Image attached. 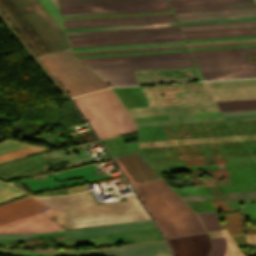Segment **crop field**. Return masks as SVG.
<instances>
[{
    "mask_svg": "<svg viewBox=\"0 0 256 256\" xmlns=\"http://www.w3.org/2000/svg\"><path fill=\"white\" fill-rule=\"evenodd\" d=\"M0 11L37 57L70 48L57 0H0Z\"/></svg>",
    "mask_w": 256,
    "mask_h": 256,
    "instance_id": "1",
    "label": "crop field"
},
{
    "mask_svg": "<svg viewBox=\"0 0 256 256\" xmlns=\"http://www.w3.org/2000/svg\"><path fill=\"white\" fill-rule=\"evenodd\" d=\"M67 219L70 228L150 219L136 196L128 201L97 205L90 192L71 196L38 198Z\"/></svg>",
    "mask_w": 256,
    "mask_h": 256,
    "instance_id": "2",
    "label": "crop field"
},
{
    "mask_svg": "<svg viewBox=\"0 0 256 256\" xmlns=\"http://www.w3.org/2000/svg\"><path fill=\"white\" fill-rule=\"evenodd\" d=\"M134 188L166 239L205 233L197 215L162 179Z\"/></svg>",
    "mask_w": 256,
    "mask_h": 256,
    "instance_id": "3",
    "label": "crop field"
},
{
    "mask_svg": "<svg viewBox=\"0 0 256 256\" xmlns=\"http://www.w3.org/2000/svg\"><path fill=\"white\" fill-rule=\"evenodd\" d=\"M73 99L101 139L136 131L134 121L112 89Z\"/></svg>",
    "mask_w": 256,
    "mask_h": 256,
    "instance_id": "4",
    "label": "crop field"
},
{
    "mask_svg": "<svg viewBox=\"0 0 256 256\" xmlns=\"http://www.w3.org/2000/svg\"><path fill=\"white\" fill-rule=\"evenodd\" d=\"M50 209L29 196L0 206V225ZM57 214L52 209L0 226V233H43L63 230L46 217Z\"/></svg>",
    "mask_w": 256,
    "mask_h": 256,
    "instance_id": "5",
    "label": "crop field"
},
{
    "mask_svg": "<svg viewBox=\"0 0 256 256\" xmlns=\"http://www.w3.org/2000/svg\"><path fill=\"white\" fill-rule=\"evenodd\" d=\"M40 59L70 96L109 87L76 60L70 49L40 57Z\"/></svg>",
    "mask_w": 256,
    "mask_h": 256,
    "instance_id": "6",
    "label": "crop field"
},
{
    "mask_svg": "<svg viewBox=\"0 0 256 256\" xmlns=\"http://www.w3.org/2000/svg\"><path fill=\"white\" fill-rule=\"evenodd\" d=\"M110 86L137 85L133 71L197 67L193 58L86 65Z\"/></svg>",
    "mask_w": 256,
    "mask_h": 256,
    "instance_id": "7",
    "label": "crop field"
},
{
    "mask_svg": "<svg viewBox=\"0 0 256 256\" xmlns=\"http://www.w3.org/2000/svg\"><path fill=\"white\" fill-rule=\"evenodd\" d=\"M249 54L195 58L205 80L256 77V62Z\"/></svg>",
    "mask_w": 256,
    "mask_h": 256,
    "instance_id": "8",
    "label": "crop field"
},
{
    "mask_svg": "<svg viewBox=\"0 0 256 256\" xmlns=\"http://www.w3.org/2000/svg\"><path fill=\"white\" fill-rule=\"evenodd\" d=\"M98 172L99 171L96 165H88V166L65 171L62 175L51 176L44 180L24 179L22 181L25 184H27L30 187L33 194H35L39 192H44V191H49V190L112 178L107 174L98 175V176H95L93 174ZM76 177H83V179L55 182V180H59V179L76 178Z\"/></svg>",
    "mask_w": 256,
    "mask_h": 256,
    "instance_id": "9",
    "label": "crop field"
},
{
    "mask_svg": "<svg viewBox=\"0 0 256 256\" xmlns=\"http://www.w3.org/2000/svg\"><path fill=\"white\" fill-rule=\"evenodd\" d=\"M170 21H176L173 14L70 20V21H63V22L66 29H72V28L142 24V23H156V22H170Z\"/></svg>",
    "mask_w": 256,
    "mask_h": 256,
    "instance_id": "10",
    "label": "crop field"
},
{
    "mask_svg": "<svg viewBox=\"0 0 256 256\" xmlns=\"http://www.w3.org/2000/svg\"><path fill=\"white\" fill-rule=\"evenodd\" d=\"M152 221L97 226L66 232V237L105 234L145 228H153ZM0 238H33V234H0Z\"/></svg>",
    "mask_w": 256,
    "mask_h": 256,
    "instance_id": "11",
    "label": "crop field"
},
{
    "mask_svg": "<svg viewBox=\"0 0 256 256\" xmlns=\"http://www.w3.org/2000/svg\"><path fill=\"white\" fill-rule=\"evenodd\" d=\"M176 256H207L211 247L207 234L168 240Z\"/></svg>",
    "mask_w": 256,
    "mask_h": 256,
    "instance_id": "12",
    "label": "crop field"
},
{
    "mask_svg": "<svg viewBox=\"0 0 256 256\" xmlns=\"http://www.w3.org/2000/svg\"><path fill=\"white\" fill-rule=\"evenodd\" d=\"M178 21L256 17V8L174 13Z\"/></svg>",
    "mask_w": 256,
    "mask_h": 256,
    "instance_id": "13",
    "label": "crop field"
},
{
    "mask_svg": "<svg viewBox=\"0 0 256 256\" xmlns=\"http://www.w3.org/2000/svg\"><path fill=\"white\" fill-rule=\"evenodd\" d=\"M45 151L48 149L41 146L18 143L10 139L4 140L0 142V164Z\"/></svg>",
    "mask_w": 256,
    "mask_h": 256,
    "instance_id": "14",
    "label": "crop field"
},
{
    "mask_svg": "<svg viewBox=\"0 0 256 256\" xmlns=\"http://www.w3.org/2000/svg\"><path fill=\"white\" fill-rule=\"evenodd\" d=\"M166 243L101 251L102 256H172Z\"/></svg>",
    "mask_w": 256,
    "mask_h": 256,
    "instance_id": "15",
    "label": "crop field"
},
{
    "mask_svg": "<svg viewBox=\"0 0 256 256\" xmlns=\"http://www.w3.org/2000/svg\"><path fill=\"white\" fill-rule=\"evenodd\" d=\"M185 57H192L191 53L190 52H182V53H166V54L86 58V59H79V60L82 61L84 64H92V63H108V62L154 60V59H169V58H185Z\"/></svg>",
    "mask_w": 256,
    "mask_h": 256,
    "instance_id": "16",
    "label": "crop field"
},
{
    "mask_svg": "<svg viewBox=\"0 0 256 256\" xmlns=\"http://www.w3.org/2000/svg\"><path fill=\"white\" fill-rule=\"evenodd\" d=\"M169 6L167 1L60 8L61 13Z\"/></svg>",
    "mask_w": 256,
    "mask_h": 256,
    "instance_id": "17",
    "label": "crop field"
},
{
    "mask_svg": "<svg viewBox=\"0 0 256 256\" xmlns=\"http://www.w3.org/2000/svg\"><path fill=\"white\" fill-rule=\"evenodd\" d=\"M144 1H160V0H59V5L60 7H67V6H83V5L129 3V2H144Z\"/></svg>",
    "mask_w": 256,
    "mask_h": 256,
    "instance_id": "18",
    "label": "crop field"
},
{
    "mask_svg": "<svg viewBox=\"0 0 256 256\" xmlns=\"http://www.w3.org/2000/svg\"><path fill=\"white\" fill-rule=\"evenodd\" d=\"M229 110L238 109H254L256 108V99H245V100H229L223 101ZM222 101L216 102L220 111L228 110Z\"/></svg>",
    "mask_w": 256,
    "mask_h": 256,
    "instance_id": "19",
    "label": "crop field"
},
{
    "mask_svg": "<svg viewBox=\"0 0 256 256\" xmlns=\"http://www.w3.org/2000/svg\"><path fill=\"white\" fill-rule=\"evenodd\" d=\"M185 40L184 37L71 44L72 47Z\"/></svg>",
    "mask_w": 256,
    "mask_h": 256,
    "instance_id": "20",
    "label": "crop field"
},
{
    "mask_svg": "<svg viewBox=\"0 0 256 256\" xmlns=\"http://www.w3.org/2000/svg\"><path fill=\"white\" fill-rule=\"evenodd\" d=\"M173 31H181V30H180V28H172V29H156V30H140V31H124V32L76 34V35H68V37H69V38H77V37H93V36H109V35H125V34L173 32Z\"/></svg>",
    "mask_w": 256,
    "mask_h": 256,
    "instance_id": "21",
    "label": "crop field"
},
{
    "mask_svg": "<svg viewBox=\"0 0 256 256\" xmlns=\"http://www.w3.org/2000/svg\"><path fill=\"white\" fill-rule=\"evenodd\" d=\"M171 10L170 7L162 8H146V9H131V10H115V11H99V12H84V13H68L61 14V17L69 16H85V15H101V14H117V13H132V12H148V11H164Z\"/></svg>",
    "mask_w": 256,
    "mask_h": 256,
    "instance_id": "22",
    "label": "crop field"
},
{
    "mask_svg": "<svg viewBox=\"0 0 256 256\" xmlns=\"http://www.w3.org/2000/svg\"><path fill=\"white\" fill-rule=\"evenodd\" d=\"M192 53H193L194 57L214 56V55H228V54H242V53H256V48L199 51V52H192Z\"/></svg>",
    "mask_w": 256,
    "mask_h": 256,
    "instance_id": "23",
    "label": "crop field"
},
{
    "mask_svg": "<svg viewBox=\"0 0 256 256\" xmlns=\"http://www.w3.org/2000/svg\"><path fill=\"white\" fill-rule=\"evenodd\" d=\"M26 195L25 193L0 182V203Z\"/></svg>",
    "mask_w": 256,
    "mask_h": 256,
    "instance_id": "24",
    "label": "crop field"
},
{
    "mask_svg": "<svg viewBox=\"0 0 256 256\" xmlns=\"http://www.w3.org/2000/svg\"><path fill=\"white\" fill-rule=\"evenodd\" d=\"M256 4L255 1H248V2H234V3H220V4H206V5H192V6H178L172 7L173 10H180V9H194V8H208V7H222V6H236V5H250Z\"/></svg>",
    "mask_w": 256,
    "mask_h": 256,
    "instance_id": "25",
    "label": "crop field"
},
{
    "mask_svg": "<svg viewBox=\"0 0 256 256\" xmlns=\"http://www.w3.org/2000/svg\"><path fill=\"white\" fill-rule=\"evenodd\" d=\"M206 230L222 229L214 213L198 214Z\"/></svg>",
    "mask_w": 256,
    "mask_h": 256,
    "instance_id": "26",
    "label": "crop field"
},
{
    "mask_svg": "<svg viewBox=\"0 0 256 256\" xmlns=\"http://www.w3.org/2000/svg\"><path fill=\"white\" fill-rule=\"evenodd\" d=\"M213 247L209 253V256H223L226 241L225 237L210 238Z\"/></svg>",
    "mask_w": 256,
    "mask_h": 256,
    "instance_id": "27",
    "label": "crop field"
},
{
    "mask_svg": "<svg viewBox=\"0 0 256 256\" xmlns=\"http://www.w3.org/2000/svg\"><path fill=\"white\" fill-rule=\"evenodd\" d=\"M233 1H247V0H175V1H169V2L171 6H177V5H191V4L233 2Z\"/></svg>",
    "mask_w": 256,
    "mask_h": 256,
    "instance_id": "28",
    "label": "crop field"
},
{
    "mask_svg": "<svg viewBox=\"0 0 256 256\" xmlns=\"http://www.w3.org/2000/svg\"><path fill=\"white\" fill-rule=\"evenodd\" d=\"M256 196V192L226 194V198ZM184 201L209 199L207 195L181 197Z\"/></svg>",
    "mask_w": 256,
    "mask_h": 256,
    "instance_id": "29",
    "label": "crop field"
},
{
    "mask_svg": "<svg viewBox=\"0 0 256 256\" xmlns=\"http://www.w3.org/2000/svg\"><path fill=\"white\" fill-rule=\"evenodd\" d=\"M171 24H177V22L160 23V24H147V25L103 27V28L73 29V30H66V31H67V32H73V31H87V30H101V29H115V28H129V27H143V26H157V25H171Z\"/></svg>",
    "mask_w": 256,
    "mask_h": 256,
    "instance_id": "30",
    "label": "crop field"
},
{
    "mask_svg": "<svg viewBox=\"0 0 256 256\" xmlns=\"http://www.w3.org/2000/svg\"><path fill=\"white\" fill-rule=\"evenodd\" d=\"M244 26H256V23L232 24V25H217V26H203V27H188V28H182V30L209 29V28H226V27H244Z\"/></svg>",
    "mask_w": 256,
    "mask_h": 256,
    "instance_id": "31",
    "label": "crop field"
},
{
    "mask_svg": "<svg viewBox=\"0 0 256 256\" xmlns=\"http://www.w3.org/2000/svg\"><path fill=\"white\" fill-rule=\"evenodd\" d=\"M180 48H188L187 46L180 47H166V48H152V49H138V50H123V51H109V52H95V53H81L74 55H83V54H99V53H115V52H132V51H148V50H164V49H180Z\"/></svg>",
    "mask_w": 256,
    "mask_h": 256,
    "instance_id": "32",
    "label": "crop field"
},
{
    "mask_svg": "<svg viewBox=\"0 0 256 256\" xmlns=\"http://www.w3.org/2000/svg\"><path fill=\"white\" fill-rule=\"evenodd\" d=\"M186 41H177V42H161V43H145V44H129V45H112V46H96V47H80V48H72L73 50L80 49H94V48H108V47H122V46H137V45H151V44H165V43H179Z\"/></svg>",
    "mask_w": 256,
    "mask_h": 256,
    "instance_id": "33",
    "label": "crop field"
},
{
    "mask_svg": "<svg viewBox=\"0 0 256 256\" xmlns=\"http://www.w3.org/2000/svg\"><path fill=\"white\" fill-rule=\"evenodd\" d=\"M175 36H183V35L182 34H175V35H161V36H147V37H133V38H119V39H105V40H91V41H77V42H70V43L111 41V40H127V39H143V38H159V37H175Z\"/></svg>",
    "mask_w": 256,
    "mask_h": 256,
    "instance_id": "34",
    "label": "crop field"
},
{
    "mask_svg": "<svg viewBox=\"0 0 256 256\" xmlns=\"http://www.w3.org/2000/svg\"><path fill=\"white\" fill-rule=\"evenodd\" d=\"M175 33H182V32L141 34V35H125V36H109V37H93V38H77V39H69V40L70 41H77V40H91V39H105V38H119V37H133V36H147V35H161V34H175Z\"/></svg>",
    "mask_w": 256,
    "mask_h": 256,
    "instance_id": "35",
    "label": "crop field"
},
{
    "mask_svg": "<svg viewBox=\"0 0 256 256\" xmlns=\"http://www.w3.org/2000/svg\"><path fill=\"white\" fill-rule=\"evenodd\" d=\"M172 27H179V26L178 25H172V26H158V27H144V28H130V29H116V30H102V31H88V32H74V33H67V34L108 32V31H124V30H140V29H156V28H172Z\"/></svg>",
    "mask_w": 256,
    "mask_h": 256,
    "instance_id": "36",
    "label": "crop field"
},
{
    "mask_svg": "<svg viewBox=\"0 0 256 256\" xmlns=\"http://www.w3.org/2000/svg\"><path fill=\"white\" fill-rule=\"evenodd\" d=\"M246 22H256V20L231 21V22H216V23H201V24H187V25H180V26H181V27H188V26L217 25V24H232V23H246Z\"/></svg>",
    "mask_w": 256,
    "mask_h": 256,
    "instance_id": "37",
    "label": "crop field"
},
{
    "mask_svg": "<svg viewBox=\"0 0 256 256\" xmlns=\"http://www.w3.org/2000/svg\"><path fill=\"white\" fill-rule=\"evenodd\" d=\"M253 34H256V32H251V33H236V34H222V35H207V36H192V37H186V39L209 38V37H224V36H238V35H253Z\"/></svg>",
    "mask_w": 256,
    "mask_h": 256,
    "instance_id": "38",
    "label": "crop field"
},
{
    "mask_svg": "<svg viewBox=\"0 0 256 256\" xmlns=\"http://www.w3.org/2000/svg\"><path fill=\"white\" fill-rule=\"evenodd\" d=\"M251 31H256V29H250V30H235V31H221V32H206V33H191V34H184V36L207 35V34H222V33H236V32H251Z\"/></svg>",
    "mask_w": 256,
    "mask_h": 256,
    "instance_id": "39",
    "label": "crop field"
},
{
    "mask_svg": "<svg viewBox=\"0 0 256 256\" xmlns=\"http://www.w3.org/2000/svg\"><path fill=\"white\" fill-rule=\"evenodd\" d=\"M256 35L253 36H238V37H224V38H209V39H194V40H187L188 42H195V41H210V40H225V39H240V38H255Z\"/></svg>",
    "mask_w": 256,
    "mask_h": 256,
    "instance_id": "40",
    "label": "crop field"
},
{
    "mask_svg": "<svg viewBox=\"0 0 256 256\" xmlns=\"http://www.w3.org/2000/svg\"><path fill=\"white\" fill-rule=\"evenodd\" d=\"M243 44H256V42L226 43V44H211V45H196V46H189V47H190V48H197V47H213V46H228V45H243Z\"/></svg>",
    "mask_w": 256,
    "mask_h": 256,
    "instance_id": "41",
    "label": "crop field"
},
{
    "mask_svg": "<svg viewBox=\"0 0 256 256\" xmlns=\"http://www.w3.org/2000/svg\"><path fill=\"white\" fill-rule=\"evenodd\" d=\"M222 114L223 116L256 114V110L228 111V112H222Z\"/></svg>",
    "mask_w": 256,
    "mask_h": 256,
    "instance_id": "42",
    "label": "crop field"
},
{
    "mask_svg": "<svg viewBox=\"0 0 256 256\" xmlns=\"http://www.w3.org/2000/svg\"><path fill=\"white\" fill-rule=\"evenodd\" d=\"M251 7H256V5H250V6H236V7H222V8H208V9H194V10H180V11H173V12L199 11V10H216V9H234V8H251Z\"/></svg>",
    "mask_w": 256,
    "mask_h": 256,
    "instance_id": "43",
    "label": "crop field"
},
{
    "mask_svg": "<svg viewBox=\"0 0 256 256\" xmlns=\"http://www.w3.org/2000/svg\"><path fill=\"white\" fill-rule=\"evenodd\" d=\"M245 19H256V18H239V19H222V20H204V21H186V22H179V24L201 23V22H216V21H230V20H245Z\"/></svg>",
    "mask_w": 256,
    "mask_h": 256,
    "instance_id": "44",
    "label": "crop field"
},
{
    "mask_svg": "<svg viewBox=\"0 0 256 256\" xmlns=\"http://www.w3.org/2000/svg\"><path fill=\"white\" fill-rule=\"evenodd\" d=\"M250 28H256V27L227 28V29H209V30H191V31H183V32L184 33H191V32L221 31V30L250 29Z\"/></svg>",
    "mask_w": 256,
    "mask_h": 256,
    "instance_id": "45",
    "label": "crop field"
},
{
    "mask_svg": "<svg viewBox=\"0 0 256 256\" xmlns=\"http://www.w3.org/2000/svg\"><path fill=\"white\" fill-rule=\"evenodd\" d=\"M224 118H225V120L250 119V118H256V115L231 116V117H224Z\"/></svg>",
    "mask_w": 256,
    "mask_h": 256,
    "instance_id": "46",
    "label": "crop field"
}]
</instances>
